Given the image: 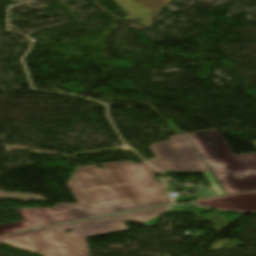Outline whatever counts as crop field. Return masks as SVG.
I'll use <instances>...</instances> for the list:
<instances>
[{
  "mask_svg": "<svg viewBox=\"0 0 256 256\" xmlns=\"http://www.w3.org/2000/svg\"><path fill=\"white\" fill-rule=\"evenodd\" d=\"M78 167L67 186L79 204L17 208L24 221L0 225V235L93 216L147 207L169 200L147 163L131 161Z\"/></svg>",
  "mask_w": 256,
  "mask_h": 256,
  "instance_id": "crop-field-1",
  "label": "crop field"
},
{
  "mask_svg": "<svg viewBox=\"0 0 256 256\" xmlns=\"http://www.w3.org/2000/svg\"><path fill=\"white\" fill-rule=\"evenodd\" d=\"M170 206L0 236V243L41 256H89L84 238L127 230L123 222L144 223L166 212Z\"/></svg>",
  "mask_w": 256,
  "mask_h": 256,
  "instance_id": "crop-field-2",
  "label": "crop field"
},
{
  "mask_svg": "<svg viewBox=\"0 0 256 256\" xmlns=\"http://www.w3.org/2000/svg\"><path fill=\"white\" fill-rule=\"evenodd\" d=\"M186 136L226 194L256 189V153L235 156L215 128Z\"/></svg>",
  "mask_w": 256,
  "mask_h": 256,
  "instance_id": "crop-field-3",
  "label": "crop field"
},
{
  "mask_svg": "<svg viewBox=\"0 0 256 256\" xmlns=\"http://www.w3.org/2000/svg\"><path fill=\"white\" fill-rule=\"evenodd\" d=\"M170 139L149 147L156 159L148 163L163 173H203L217 195H224L184 135L172 136Z\"/></svg>",
  "mask_w": 256,
  "mask_h": 256,
  "instance_id": "crop-field-4",
  "label": "crop field"
},
{
  "mask_svg": "<svg viewBox=\"0 0 256 256\" xmlns=\"http://www.w3.org/2000/svg\"><path fill=\"white\" fill-rule=\"evenodd\" d=\"M197 204L234 211H256V191L202 199L198 200Z\"/></svg>",
  "mask_w": 256,
  "mask_h": 256,
  "instance_id": "crop-field-5",
  "label": "crop field"
}]
</instances>
